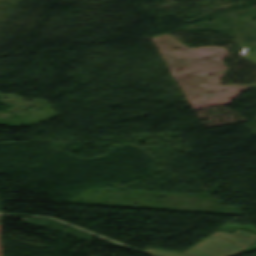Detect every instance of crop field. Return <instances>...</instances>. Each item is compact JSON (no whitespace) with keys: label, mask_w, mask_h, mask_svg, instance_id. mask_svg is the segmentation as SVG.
I'll use <instances>...</instances> for the list:
<instances>
[{"label":"crop field","mask_w":256,"mask_h":256,"mask_svg":"<svg viewBox=\"0 0 256 256\" xmlns=\"http://www.w3.org/2000/svg\"><path fill=\"white\" fill-rule=\"evenodd\" d=\"M255 240L256 234L239 229L232 234L218 231L183 253L149 248L145 252L155 256H231Z\"/></svg>","instance_id":"1"},{"label":"crop field","mask_w":256,"mask_h":256,"mask_svg":"<svg viewBox=\"0 0 256 256\" xmlns=\"http://www.w3.org/2000/svg\"><path fill=\"white\" fill-rule=\"evenodd\" d=\"M0 256H1V246H0Z\"/></svg>","instance_id":"2"}]
</instances>
